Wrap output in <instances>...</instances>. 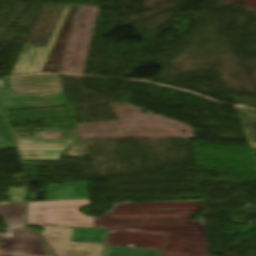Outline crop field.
I'll return each mask as SVG.
<instances>
[{"label":"crop field","mask_w":256,"mask_h":256,"mask_svg":"<svg viewBox=\"0 0 256 256\" xmlns=\"http://www.w3.org/2000/svg\"><path fill=\"white\" fill-rule=\"evenodd\" d=\"M9 193L6 196H10V202H24L26 191L25 188H8Z\"/></svg>","instance_id":"crop-field-10"},{"label":"crop field","mask_w":256,"mask_h":256,"mask_svg":"<svg viewBox=\"0 0 256 256\" xmlns=\"http://www.w3.org/2000/svg\"><path fill=\"white\" fill-rule=\"evenodd\" d=\"M75 140L40 141L14 140L21 160H58Z\"/></svg>","instance_id":"crop-field-6"},{"label":"crop field","mask_w":256,"mask_h":256,"mask_svg":"<svg viewBox=\"0 0 256 256\" xmlns=\"http://www.w3.org/2000/svg\"><path fill=\"white\" fill-rule=\"evenodd\" d=\"M88 204V200L28 203V224L85 227L116 231L206 238L204 222H195L191 220L201 208V201L115 205L116 208L103 218H88L76 211V209ZM34 205H36V207H34ZM143 222L189 223L97 225V223Z\"/></svg>","instance_id":"crop-field-1"},{"label":"crop field","mask_w":256,"mask_h":256,"mask_svg":"<svg viewBox=\"0 0 256 256\" xmlns=\"http://www.w3.org/2000/svg\"><path fill=\"white\" fill-rule=\"evenodd\" d=\"M162 251L105 246L101 256H160Z\"/></svg>","instance_id":"crop-field-9"},{"label":"crop field","mask_w":256,"mask_h":256,"mask_svg":"<svg viewBox=\"0 0 256 256\" xmlns=\"http://www.w3.org/2000/svg\"><path fill=\"white\" fill-rule=\"evenodd\" d=\"M4 83H5L4 80H0V93H1V91H2V89H3ZM0 113H2V112H1V108H0Z\"/></svg>","instance_id":"crop-field-12"},{"label":"crop field","mask_w":256,"mask_h":256,"mask_svg":"<svg viewBox=\"0 0 256 256\" xmlns=\"http://www.w3.org/2000/svg\"><path fill=\"white\" fill-rule=\"evenodd\" d=\"M110 231L74 228L71 241L104 244Z\"/></svg>","instance_id":"crop-field-8"},{"label":"crop field","mask_w":256,"mask_h":256,"mask_svg":"<svg viewBox=\"0 0 256 256\" xmlns=\"http://www.w3.org/2000/svg\"><path fill=\"white\" fill-rule=\"evenodd\" d=\"M12 237H0V253L54 256L42 238L25 226V202L0 204Z\"/></svg>","instance_id":"crop-field-4"},{"label":"crop field","mask_w":256,"mask_h":256,"mask_svg":"<svg viewBox=\"0 0 256 256\" xmlns=\"http://www.w3.org/2000/svg\"><path fill=\"white\" fill-rule=\"evenodd\" d=\"M0 102L4 110L69 105L58 75L12 78Z\"/></svg>","instance_id":"crop-field-2"},{"label":"crop field","mask_w":256,"mask_h":256,"mask_svg":"<svg viewBox=\"0 0 256 256\" xmlns=\"http://www.w3.org/2000/svg\"><path fill=\"white\" fill-rule=\"evenodd\" d=\"M5 148H15V147L13 143L0 144V149H5Z\"/></svg>","instance_id":"crop-field-11"},{"label":"crop field","mask_w":256,"mask_h":256,"mask_svg":"<svg viewBox=\"0 0 256 256\" xmlns=\"http://www.w3.org/2000/svg\"><path fill=\"white\" fill-rule=\"evenodd\" d=\"M161 256H209L206 239L169 236Z\"/></svg>","instance_id":"crop-field-7"},{"label":"crop field","mask_w":256,"mask_h":256,"mask_svg":"<svg viewBox=\"0 0 256 256\" xmlns=\"http://www.w3.org/2000/svg\"><path fill=\"white\" fill-rule=\"evenodd\" d=\"M42 236L57 256H100L104 245L70 242L73 228L44 226Z\"/></svg>","instance_id":"crop-field-5"},{"label":"crop field","mask_w":256,"mask_h":256,"mask_svg":"<svg viewBox=\"0 0 256 256\" xmlns=\"http://www.w3.org/2000/svg\"><path fill=\"white\" fill-rule=\"evenodd\" d=\"M0 256H17V255H5V254H0Z\"/></svg>","instance_id":"crop-field-13"},{"label":"crop field","mask_w":256,"mask_h":256,"mask_svg":"<svg viewBox=\"0 0 256 256\" xmlns=\"http://www.w3.org/2000/svg\"><path fill=\"white\" fill-rule=\"evenodd\" d=\"M78 6L65 5L61 11L57 25L39 60L43 48H35L25 43L11 75L33 73H57L63 50L71 26L73 15ZM35 51V53H32ZM53 63V66H50ZM10 75V76H11Z\"/></svg>","instance_id":"crop-field-3"}]
</instances>
